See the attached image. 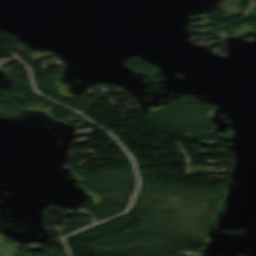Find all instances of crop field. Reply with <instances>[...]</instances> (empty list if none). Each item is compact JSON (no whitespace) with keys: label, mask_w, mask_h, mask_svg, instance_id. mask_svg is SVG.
Segmentation results:
<instances>
[{"label":"crop field","mask_w":256,"mask_h":256,"mask_svg":"<svg viewBox=\"0 0 256 256\" xmlns=\"http://www.w3.org/2000/svg\"><path fill=\"white\" fill-rule=\"evenodd\" d=\"M19 248L20 247L0 236V252L2 253L1 256H10Z\"/></svg>","instance_id":"obj_1"}]
</instances>
